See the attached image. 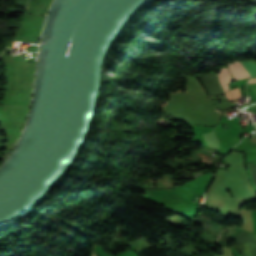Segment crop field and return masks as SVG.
<instances>
[{
  "label": "crop field",
  "mask_w": 256,
  "mask_h": 256,
  "mask_svg": "<svg viewBox=\"0 0 256 256\" xmlns=\"http://www.w3.org/2000/svg\"><path fill=\"white\" fill-rule=\"evenodd\" d=\"M235 80L250 77L240 62L228 63Z\"/></svg>",
  "instance_id": "crop-field-1"
},
{
  "label": "crop field",
  "mask_w": 256,
  "mask_h": 256,
  "mask_svg": "<svg viewBox=\"0 0 256 256\" xmlns=\"http://www.w3.org/2000/svg\"><path fill=\"white\" fill-rule=\"evenodd\" d=\"M218 77H219V80L222 84L224 91L226 92V90L228 89L226 84L231 80V75H230L228 69L227 68L221 69L218 74Z\"/></svg>",
  "instance_id": "crop-field-2"
}]
</instances>
